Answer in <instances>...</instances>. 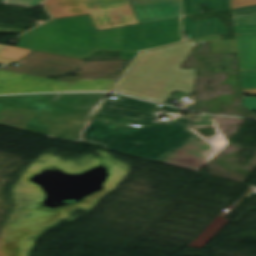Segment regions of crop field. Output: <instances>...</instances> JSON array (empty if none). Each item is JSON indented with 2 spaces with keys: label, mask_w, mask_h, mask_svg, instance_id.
I'll return each instance as SVG.
<instances>
[{
  "label": "crop field",
  "mask_w": 256,
  "mask_h": 256,
  "mask_svg": "<svg viewBox=\"0 0 256 256\" xmlns=\"http://www.w3.org/2000/svg\"><path fill=\"white\" fill-rule=\"evenodd\" d=\"M179 41H181V37L178 18L97 31V50L122 51L121 59H133L137 50Z\"/></svg>",
  "instance_id": "5"
},
{
  "label": "crop field",
  "mask_w": 256,
  "mask_h": 256,
  "mask_svg": "<svg viewBox=\"0 0 256 256\" xmlns=\"http://www.w3.org/2000/svg\"><path fill=\"white\" fill-rule=\"evenodd\" d=\"M196 44L190 41L140 54L115 91L162 103L173 91L192 94L196 69L178 67Z\"/></svg>",
  "instance_id": "3"
},
{
  "label": "crop field",
  "mask_w": 256,
  "mask_h": 256,
  "mask_svg": "<svg viewBox=\"0 0 256 256\" xmlns=\"http://www.w3.org/2000/svg\"><path fill=\"white\" fill-rule=\"evenodd\" d=\"M200 4H209L216 10L229 9L228 0H183L184 16L202 13Z\"/></svg>",
  "instance_id": "12"
},
{
  "label": "crop field",
  "mask_w": 256,
  "mask_h": 256,
  "mask_svg": "<svg viewBox=\"0 0 256 256\" xmlns=\"http://www.w3.org/2000/svg\"><path fill=\"white\" fill-rule=\"evenodd\" d=\"M130 1L134 8L144 6V8L133 9L140 23L180 17V14L176 9L174 3L164 4V3L175 2L179 7V0H130ZM157 4H164V5L148 7V5H157Z\"/></svg>",
  "instance_id": "10"
},
{
  "label": "crop field",
  "mask_w": 256,
  "mask_h": 256,
  "mask_svg": "<svg viewBox=\"0 0 256 256\" xmlns=\"http://www.w3.org/2000/svg\"><path fill=\"white\" fill-rule=\"evenodd\" d=\"M255 12H256V5L231 10L232 16L248 14V13H255Z\"/></svg>",
  "instance_id": "18"
},
{
  "label": "crop field",
  "mask_w": 256,
  "mask_h": 256,
  "mask_svg": "<svg viewBox=\"0 0 256 256\" xmlns=\"http://www.w3.org/2000/svg\"><path fill=\"white\" fill-rule=\"evenodd\" d=\"M3 47V45H0V49Z\"/></svg>",
  "instance_id": "22"
},
{
  "label": "crop field",
  "mask_w": 256,
  "mask_h": 256,
  "mask_svg": "<svg viewBox=\"0 0 256 256\" xmlns=\"http://www.w3.org/2000/svg\"><path fill=\"white\" fill-rule=\"evenodd\" d=\"M158 104L120 96L108 99L83 132V140L106 145V149L161 162L190 138L205 142L197 134L183 128L189 120L176 118L169 125L155 123L148 128L127 127L109 120L149 126ZM162 110L178 112L163 106ZM215 125L210 116L194 117L188 126ZM167 158V157H166Z\"/></svg>",
  "instance_id": "1"
},
{
  "label": "crop field",
  "mask_w": 256,
  "mask_h": 256,
  "mask_svg": "<svg viewBox=\"0 0 256 256\" xmlns=\"http://www.w3.org/2000/svg\"><path fill=\"white\" fill-rule=\"evenodd\" d=\"M131 60L81 61L72 58L31 51L18 61L19 67L5 66L0 69L16 71L47 78L77 74L59 80L74 82L76 79H119Z\"/></svg>",
  "instance_id": "4"
},
{
  "label": "crop field",
  "mask_w": 256,
  "mask_h": 256,
  "mask_svg": "<svg viewBox=\"0 0 256 256\" xmlns=\"http://www.w3.org/2000/svg\"><path fill=\"white\" fill-rule=\"evenodd\" d=\"M243 105L251 110L252 112H256V98L254 97H244Z\"/></svg>",
  "instance_id": "20"
},
{
  "label": "crop field",
  "mask_w": 256,
  "mask_h": 256,
  "mask_svg": "<svg viewBox=\"0 0 256 256\" xmlns=\"http://www.w3.org/2000/svg\"><path fill=\"white\" fill-rule=\"evenodd\" d=\"M236 40H219L221 35H214L198 42H212V53L238 52L240 71L256 70V35H235Z\"/></svg>",
  "instance_id": "8"
},
{
  "label": "crop field",
  "mask_w": 256,
  "mask_h": 256,
  "mask_svg": "<svg viewBox=\"0 0 256 256\" xmlns=\"http://www.w3.org/2000/svg\"><path fill=\"white\" fill-rule=\"evenodd\" d=\"M243 92L247 94H256V89L243 90Z\"/></svg>",
  "instance_id": "21"
},
{
  "label": "crop field",
  "mask_w": 256,
  "mask_h": 256,
  "mask_svg": "<svg viewBox=\"0 0 256 256\" xmlns=\"http://www.w3.org/2000/svg\"><path fill=\"white\" fill-rule=\"evenodd\" d=\"M31 50L6 46L0 51V63L8 64L19 60Z\"/></svg>",
  "instance_id": "13"
},
{
  "label": "crop field",
  "mask_w": 256,
  "mask_h": 256,
  "mask_svg": "<svg viewBox=\"0 0 256 256\" xmlns=\"http://www.w3.org/2000/svg\"><path fill=\"white\" fill-rule=\"evenodd\" d=\"M116 80H76L73 84L0 70V94L111 91Z\"/></svg>",
  "instance_id": "7"
},
{
  "label": "crop field",
  "mask_w": 256,
  "mask_h": 256,
  "mask_svg": "<svg viewBox=\"0 0 256 256\" xmlns=\"http://www.w3.org/2000/svg\"><path fill=\"white\" fill-rule=\"evenodd\" d=\"M106 93L0 96V124L79 141Z\"/></svg>",
  "instance_id": "2"
},
{
  "label": "crop field",
  "mask_w": 256,
  "mask_h": 256,
  "mask_svg": "<svg viewBox=\"0 0 256 256\" xmlns=\"http://www.w3.org/2000/svg\"><path fill=\"white\" fill-rule=\"evenodd\" d=\"M53 18L89 13L97 30L139 23L128 0H46Z\"/></svg>",
  "instance_id": "6"
},
{
  "label": "crop field",
  "mask_w": 256,
  "mask_h": 256,
  "mask_svg": "<svg viewBox=\"0 0 256 256\" xmlns=\"http://www.w3.org/2000/svg\"><path fill=\"white\" fill-rule=\"evenodd\" d=\"M233 25L256 24V13L232 17Z\"/></svg>",
  "instance_id": "15"
},
{
  "label": "crop field",
  "mask_w": 256,
  "mask_h": 256,
  "mask_svg": "<svg viewBox=\"0 0 256 256\" xmlns=\"http://www.w3.org/2000/svg\"><path fill=\"white\" fill-rule=\"evenodd\" d=\"M210 149L211 147L191 139L163 163L198 171L210 160V158L201 156L203 152Z\"/></svg>",
  "instance_id": "9"
},
{
  "label": "crop field",
  "mask_w": 256,
  "mask_h": 256,
  "mask_svg": "<svg viewBox=\"0 0 256 256\" xmlns=\"http://www.w3.org/2000/svg\"><path fill=\"white\" fill-rule=\"evenodd\" d=\"M192 17L182 19L183 31L187 38H198L210 34L228 33L226 28L215 17L195 23H191Z\"/></svg>",
  "instance_id": "11"
},
{
  "label": "crop field",
  "mask_w": 256,
  "mask_h": 256,
  "mask_svg": "<svg viewBox=\"0 0 256 256\" xmlns=\"http://www.w3.org/2000/svg\"><path fill=\"white\" fill-rule=\"evenodd\" d=\"M231 9L256 4V0H230Z\"/></svg>",
  "instance_id": "17"
},
{
  "label": "crop field",
  "mask_w": 256,
  "mask_h": 256,
  "mask_svg": "<svg viewBox=\"0 0 256 256\" xmlns=\"http://www.w3.org/2000/svg\"><path fill=\"white\" fill-rule=\"evenodd\" d=\"M243 89L256 88V71L240 72Z\"/></svg>",
  "instance_id": "14"
},
{
  "label": "crop field",
  "mask_w": 256,
  "mask_h": 256,
  "mask_svg": "<svg viewBox=\"0 0 256 256\" xmlns=\"http://www.w3.org/2000/svg\"><path fill=\"white\" fill-rule=\"evenodd\" d=\"M235 33H256V25L234 26Z\"/></svg>",
  "instance_id": "19"
},
{
  "label": "crop field",
  "mask_w": 256,
  "mask_h": 256,
  "mask_svg": "<svg viewBox=\"0 0 256 256\" xmlns=\"http://www.w3.org/2000/svg\"><path fill=\"white\" fill-rule=\"evenodd\" d=\"M42 0H5L3 3L39 7Z\"/></svg>",
  "instance_id": "16"
}]
</instances>
